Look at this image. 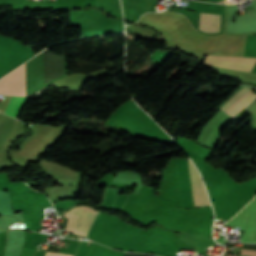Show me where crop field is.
I'll return each instance as SVG.
<instances>
[{
    "label": "crop field",
    "mask_w": 256,
    "mask_h": 256,
    "mask_svg": "<svg viewBox=\"0 0 256 256\" xmlns=\"http://www.w3.org/2000/svg\"><path fill=\"white\" fill-rule=\"evenodd\" d=\"M189 162V169H190V176H191V183H192V190H193V197H194V204L195 207L199 205H210L206 192L203 186V183L201 181V177L196 170V168L191 163L190 159H188Z\"/></svg>",
    "instance_id": "obj_4"
},
{
    "label": "crop field",
    "mask_w": 256,
    "mask_h": 256,
    "mask_svg": "<svg viewBox=\"0 0 256 256\" xmlns=\"http://www.w3.org/2000/svg\"><path fill=\"white\" fill-rule=\"evenodd\" d=\"M0 94L25 95V64L0 80Z\"/></svg>",
    "instance_id": "obj_1"
},
{
    "label": "crop field",
    "mask_w": 256,
    "mask_h": 256,
    "mask_svg": "<svg viewBox=\"0 0 256 256\" xmlns=\"http://www.w3.org/2000/svg\"><path fill=\"white\" fill-rule=\"evenodd\" d=\"M27 97H13L11 96V100L4 111L3 114H6L10 117H17L20 110L22 109Z\"/></svg>",
    "instance_id": "obj_7"
},
{
    "label": "crop field",
    "mask_w": 256,
    "mask_h": 256,
    "mask_svg": "<svg viewBox=\"0 0 256 256\" xmlns=\"http://www.w3.org/2000/svg\"><path fill=\"white\" fill-rule=\"evenodd\" d=\"M119 190L114 188H107L105 191L104 200L101 204V207L106 209H116L121 211V209L124 207L128 195H121L118 194Z\"/></svg>",
    "instance_id": "obj_5"
},
{
    "label": "crop field",
    "mask_w": 256,
    "mask_h": 256,
    "mask_svg": "<svg viewBox=\"0 0 256 256\" xmlns=\"http://www.w3.org/2000/svg\"><path fill=\"white\" fill-rule=\"evenodd\" d=\"M256 94L251 92V89L244 87L236 95H234L220 109L227 113L232 118L237 115L244 107H246Z\"/></svg>",
    "instance_id": "obj_3"
},
{
    "label": "crop field",
    "mask_w": 256,
    "mask_h": 256,
    "mask_svg": "<svg viewBox=\"0 0 256 256\" xmlns=\"http://www.w3.org/2000/svg\"><path fill=\"white\" fill-rule=\"evenodd\" d=\"M241 255L256 256V251L242 249Z\"/></svg>",
    "instance_id": "obj_8"
},
{
    "label": "crop field",
    "mask_w": 256,
    "mask_h": 256,
    "mask_svg": "<svg viewBox=\"0 0 256 256\" xmlns=\"http://www.w3.org/2000/svg\"><path fill=\"white\" fill-rule=\"evenodd\" d=\"M220 15L200 13L199 29L206 32L219 31Z\"/></svg>",
    "instance_id": "obj_6"
},
{
    "label": "crop field",
    "mask_w": 256,
    "mask_h": 256,
    "mask_svg": "<svg viewBox=\"0 0 256 256\" xmlns=\"http://www.w3.org/2000/svg\"><path fill=\"white\" fill-rule=\"evenodd\" d=\"M87 206V205H86ZM76 207V206H75ZM89 207V206H88ZM74 208V207H73ZM92 208V207H91ZM72 209V208H71ZM71 209H69V210H71ZM94 209V208H93ZM69 210H67V211H69Z\"/></svg>",
    "instance_id": "obj_9"
},
{
    "label": "crop field",
    "mask_w": 256,
    "mask_h": 256,
    "mask_svg": "<svg viewBox=\"0 0 256 256\" xmlns=\"http://www.w3.org/2000/svg\"><path fill=\"white\" fill-rule=\"evenodd\" d=\"M255 61H256V58H238V57L208 55L204 64L250 72Z\"/></svg>",
    "instance_id": "obj_2"
}]
</instances>
